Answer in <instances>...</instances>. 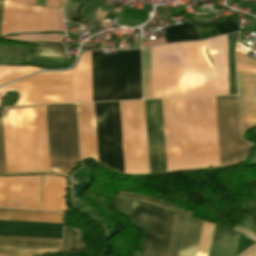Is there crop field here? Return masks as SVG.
Wrapping results in <instances>:
<instances>
[{"label":"crop field","instance_id":"8a807250","mask_svg":"<svg viewBox=\"0 0 256 256\" xmlns=\"http://www.w3.org/2000/svg\"><path fill=\"white\" fill-rule=\"evenodd\" d=\"M48 108L50 147L48 132ZM37 109V110H15ZM0 119V174L48 172L67 175L79 161L75 105L6 108Z\"/></svg>","mask_w":256,"mask_h":256},{"label":"crop field","instance_id":"ac0d7876","mask_svg":"<svg viewBox=\"0 0 256 256\" xmlns=\"http://www.w3.org/2000/svg\"><path fill=\"white\" fill-rule=\"evenodd\" d=\"M151 52L153 98L228 94L227 35Z\"/></svg>","mask_w":256,"mask_h":256},{"label":"crop field","instance_id":"34b2d1b8","mask_svg":"<svg viewBox=\"0 0 256 256\" xmlns=\"http://www.w3.org/2000/svg\"><path fill=\"white\" fill-rule=\"evenodd\" d=\"M92 52L93 101L126 100L125 51ZM127 100L141 99L140 50L126 51Z\"/></svg>","mask_w":256,"mask_h":256},{"label":"crop field","instance_id":"412701ff","mask_svg":"<svg viewBox=\"0 0 256 256\" xmlns=\"http://www.w3.org/2000/svg\"><path fill=\"white\" fill-rule=\"evenodd\" d=\"M167 172L195 169L190 98L162 100Z\"/></svg>","mask_w":256,"mask_h":256},{"label":"crop field","instance_id":"f4fd0767","mask_svg":"<svg viewBox=\"0 0 256 256\" xmlns=\"http://www.w3.org/2000/svg\"><path fill=\"white\" fill-rule=\"evenodd\" d=\"M221 166L243 160L251 145L240 137L236 96L216 97Z\"/></svg>","mask_w":256,"mask_h":256},{"label":"crop field","instance_id":"dd49c442","mask_svg":"<svg viewBox=\"0 0 256 256\" xmlns=\"http://www.w3.org/2000/svg\"><path fill=\"white\" fill-rule=\"evenodd\" d=\"M130 216L148 227L141 256H166L176 214L134 201Z\"/></svg>","mask_w":256,"mask_h":256},{"label":"crop field","instance_id":"e52e79f7","mask_svg":"<svg viewBox=\"0 0 256 256\" xmlns=\"http://www.w3.org/2000/svg\"><path fill=\"white\" fill-rule=\"evenodd\" d=\"M150 173L166 172L161 100L144 101Z\"/></svg>","mask_w":256,"mask_h":256},{"label":"crop field","instance_id":"d8731c3e","mask_svg":"<svg viewBox=\"0 0 256 256\" xmlns=\"http://www.w3.org/2000/svg\"><path fill=\"white\" fill-rule=\"evenodd\" d=\"M202 224L177 214L167 256H195Z\"/></svg>","mask_w":256,"mask_h":256},{"label":"crop field","instance_id":"5a996713","mask_svg":"<svg viewBox=\"0 0 256 256\" xmlns=\"http://www.w3.org/2000/svg\"><path fill=\"white\" fill-rule=\"evenodd\" d=\"M214 227L215 225L204 222L196 256H208ZM237 235L226 227L216 225L209 256H233Z\"/></svg>","mask_w":256,"mask_h":256},{"label":"crop field","instance_id":"3316defc","mask_svg":"<svg viewBox=\"0 0 256 256\" xmlns=\"http://www.w3.org/2000/svg\"><path fill=\"white\" fill-rule=\"evenodd\" d=\"M125 173L139 174L134 101L119 102Z\"/></svg>","mask_w":256,"mask_h":256},{"label":"crop field","instance_id":"28ad6ade","mask_svg":"<svg viewBox=\"0 0 256 256\" xmlns=\"http://www.w3.org/2000/svg\"><path fill=\"white\" fill-rule=\"evenodd\" d=\"M242 135L256 127V75L238 71Z\"/></svg>","mask_w":256,"mask_h":256},{"label":"crop field","instance_id":"d1516ede","mask_svg":"<svg viewBox=\"0 0 256 256\" xmlns=\"http://www.w3.org/2000/svg\"><path fill=\"white\" fill-rule=\"evenodd\" d=\"M62 224L0 220V235L61 239Z\"/></svg>","mask_w":256,"mask_h":256},{"label":"crop field","instance_id":"22f410ed","mask_svg":"<svg viewBox=\"0 0 256 256\" xmlns=\"http://www.w3.org/2000/svg\"><path fill=\"white\" fill-rule=\"evenodd\" d=\"M81 159L98 161L93 104H77Z\"/></svg>","mask_w":256,"mask_h":256},{"label":"crop field","instance_id":"cbeb9de0","mask_svg":"<svg viewBox=\"0 0 256 256\" xmlns=\"http://www.w3.org/2000/svg\"><path fill=\"white\" fill-rule=\"evenodd\" d=\"M73 102L92 101L91 52L81 54L72 69Z\"/></svg>","mask_w":256,"mask_h":256},{"label":"crop field","instance_id":"5142ce71","mask_svg":"<svg viewBox=\"0 0 256 256\" xmlns=\"http://www.w3.org/2000/svg\"><path fill=\"white\" fill-rule=\"evenodd\" d=\"M67 179L44 175L40 209L69 211L65 205Z\"/></svg>","mask_w":256,"mask_h":256},{"label":"crop field","instance_id":"d9b57169","mask_svg":"<svg viewBox=\"0 0 256 256\" xmlns=\"http://www.w3.org/2000/svg\"><path fill=\"white\" fill-rule=\"evenodd\" d=\"M41 176L18 178L16 208L39 209Z\"/></svg>","mask_w":256,"mask_h":256},{"label":"crop field","instance_id":"733c2abd","mask_svg":"<svg viewBox=\"0 0 256 256\" xmlns=\"http://www.w3.org/2000/svg\"><path fill=\"white\" fill-rule=\"evenodd\" d=\"M63 213L0 209V219L62 223Z\"/></svg>","mask_w":256,"mask_h":256},{"label":"crop field","instance_id":"4a817a6b","mask_svg":"<svg viewBox=\"0 0 256 256\" xmlns=\"http://www.w3.org/2000/svg\"><path fill=\"white\" fill-rule=\"evenodd\" d=\"M140 174L149 173L143 101H135Z\"/></svg>","mask_w":256,"mask_h":256},{"label":"crop field","instance_id":"bc2a9ffb","mask_svg":"<svg viewBox=\"0 0 256 256\" xmlns=\"http://www.w3.org/2000/svg\"><path fill=\"white\" fill-rule=\"evenodd\" d=\"M108 167L118 171L112 103H103Z\"/></svg>","mask_w":256,"mask_h":256},{"label":"crop field","instance_id":"214f88e0","mask_svg":"<svg viewBox=\"0 0 256 256\" xmlns=\"http://www.w3.org/2000/svg\"><path fill=\"white\" fill-rule=\"evenodd\" d=\"M0 64L38 65L43 67H64L67 61L56 58H38L17 55H0Z\"/></svg>","mask_w":256,"mask_h":256},{"label":"crop field","instance_id":"92a150f3","mask_svg":"<svg viewBox=\"0 0 256 256\" xmlns=\"http://www.w3.org/2000/svg\"><path fill=\"white\" fill-rule=\"evenodd\" d=\"M0 245L60 249L61 240L0 236Z\"/></svg>","mask_w":256,"mask_h":256},{"label":"crop field","instance_id":"dafd665d","mask_svg":"<svg viewBox=\"0 0 256 256\" xmlns=\"http://www.w3.org/2000/svg\"><path fill=\"white\" fill-rule=\"evenodd\" d=\"M17 177L0 176V207L15 208Z\"/></svg>","mask_w":256,"mask_h":256},{"label":"crop field","instance_id":"00972430","mask_svg":"<svg viewBox=\"0 0 256 256\" xmlns=\"http://www.w3.org/2000/svg\"><path fill=\"white\" fill-rule=\"evenodd\" d=\"M166 42L200 40L192 23L164 28Z\"/></svg>","mask_w":256,"mask_h":256},{"label":"crop field","instance_id":"a9b5d70f","mask_svg":"<svg viewBox=\"0 0 256 256\" xmlns=\"http://www.w3.org/2000/svg\"><path fill=\"white\" fill-rule=\"evenodd\" d=\"M99 163L107 166L102 103L94 104Z\"/></svg>","mask_w":256,"mask_h":256},{"label":"crop field","instance_id":"4177f3b9","mask_svg":"<svg viewBox=\"0 0 256 256\" xmlns=\"http://www.w3.org/2000/svg\"><path fill=\"white\" fill-rule=\"evenodd\" d=\"M42 31L41 7L27 4L24 32Z\"/></svg>","mask_w":256,"mask_h":256},{"label":"crop field","instance_id":"730fd06b","mask_svg":"<svg viewBox=\"0 0 256 256\" xmlns=\"http://www.w3.org/2000/svg\"><path fill=\"white\" fill-rule=\"evenodd\" d=\"M57 251L60 250L0 246V256H39Z\"/></svg>","mask_w":256,"mask_h":256},{"label":"crop field","instance_id":"eef30255","mask_svg":"<svg viewBox=\"0 0 256 256\" xmlns=\"http://www.w3.org/2000/svg\"><path fill=\"white\" fill-rule=\"evenodd\" d=\"M117 197L133 198V199H136V200H139V201H142V202L154 205V206H158V207H161V208H165V209H169V210H172V211L179 212V213L187 215L189 217H191V215H192V213L181 210V209H179V208H177V207H175V206H173V205H171L167 202H164V201H161V200H158V199H155V198L147 197V196L130 194V193H125V192H119Z\"/></svg>","mask_w":256,"mask_h":256},{"label":"crop field","instance_id":"ae1a2a85","mask_svg":"<svg viewBox=\"0 0 256 256\" xmlns=\"http://www.w3.org/2000/svg\"><path fill=\"white\" fill-rule=\"evenodd\" d=\"M237 34L228 35L229 94H237L233 49Z\"/></svg>","mask_w":256,"mask_h":256},{"label":"crop field","instance_id":"d3111659","mask_svg":"<svg viewBox=\"0 0 256 256\" xmlns=\"http://www.w3.org/2000/svg\"><path fill=\"white\" fill-rule=\"evenodd\" d=\"M36 67H4L0 66V85L3 83L21 77L28 73L38 71Z\"/></svg>","mask_w":256,"mask_h":256},{"label":"crop field","instance_id":"750c4746","mask_svg":"<svg viewBox=\"0 0 256 256\" xmlns=\"http://www.w3.org/2000/svg\"><path fill=\"white\" fill-rule=\"evenodd\" d=\"M144 99L152 98L150 48L143 49Z\"/></svg>","mask_w":256,"mask_h":256},{"label":"crop field","instance_id":"bd1437ed","mask_svg":"<svg viewBox=\"0 0 256 256\" xmlns=\"http://www.w3.org/2000/svg\"><path fill=\"white\" fill-rule=\"evenodd\" d=\"M113 108L117 143L118 167L119 172L124 173L118 102L113 103Z\"/></svg>","mask_w":256,"mask_h":256},{"label":"crop field","instance_id":"1d83c4d3","mask_svg":"<svg viewBox=\"0 0 256 256\" xmlns=\"http://www.w3.org/2000/svg\"><path fill=\"white\" fill-rule=\"evenodd\" d=\"M79 230L64 228L62 251L78 250Z\"/></svg>","mask_w":256,"mask_h":256},{"label":"crop field","instance_id":"120bbe31","mask_svg":"<svg viewBox=\"0 0 256 256\" xmlns=\"http://www.w3.org/2000/svg\"><path fill=\"white\" fill-rule=\"evenodd\" d=\"M62 36L64 35L28 34V35H19L16 37H4L3 39H21V40H33V41H45V42H60Z\"/></svg>","mask_w":256,"mask_h":256},{"label":"crop field","instance_id":"d32e631a","mask_svg":"<svg viewBox=\"0 0 256 256\" xmlns=\"http://www.w3.org/2000/svg\"><path fill=\"white\" fill-rule=\"evenodd\" d=\"M35 55L53 56V57L65 58V56H64V48H62V47L38 46L37 47V53Z\"/></svg>","mask_w":256,"mask_h":256},{"label":"crop field","instance_id":"5866460e","mask_svg":"<svg viewBox=\"0 0 256 256\" xmlns=\"http://www.w3.org/2000/svg\"><path fill=\"white\" fill-rule=\"evenodd\" d=\"M53 31H65L61 10L49 8Z\"/></svg>","mask_w":256,"mask_h":256},{"label":"crop field","instance_id":"028f5c9d","mask_svg":"<svg viewBox=\"0 0 256 256\" xmlns=\"http://www.w3.org/2000/svg\"><path fill=\"white\" fill-rule=\"evenodd\" d=\"M236 58L237 62L241 64H247V65H253L256 66V61L236 52ZM238 64V70L246 71V72H251L256 74V68L255 67H250V66H245Z\"/></svg>","mask_w":256,"mask_h":256},{"label":"crop field","instance_id":"e1f06a70","mask_svg":"<svg viewBox=\"0 0 256 256\" xmlns=\"http://www.w3.org/2000/svg\"><path fill=\"white\" fill-rule=\"evenodd\" d=\"M193 25H194L200 39L218 35L209 23L202 24V25H196L193 23Z\"/></svg>","mask_w":256,"mask_h":256},{"label":"crop field","instance_id":"0bd39190","mask_svg":"<svg viewBox=\"0 0 256 256\" xmlns=\"http://www.w3.org/2000/svg\"><path fill=\"white\" fill-rule=\"evenodd\" d=\"M212 25L217 29L219 34L229 33V32H234L239 30L237 26L231 24L229 21L222 22V23H214Z\"/></svg>","mask_w":256,"mask_h":256},{"label":"crop field","instance_id":"b80d0937","mask_svg":"<svg viewBox=\"0 0 256 256\" xmlns=\"http://www.w3.org/2000/svg\"><path fill=\"white\" fill-rule=\"evenodd\" d=\"M234 230L242 233L244 236L256 242V235L251 231L250 227L246 224L245 220L236 225Z\"/></svg>","mask_w":256,"mask_h":256},{"label":"crop field","instance_id":"c035e120","mask_svg":"<svg viewBox=\"0 0 256 256\" xmlns=\"http://www.w3.org/2000/svg\"><path fill=\"white\" fill-rule=\"evenodd\" d=\"M43 31H52L48 8L42 7Z\"/></svg>","mask_w":256,"mask_h":256},{"label":"crop field","instance_id":"c21b1889","mask_svg":"<svg viewBox=\"0 0 256 256\" xmlns=\"http://www.w3.org/2000/svg\"><path fill=\"white\" fill-rule=\"evenodd\" d=\"M78 4L76 3H70V2H67L65 8H64V17L67 21H71V18H70V14H69V10H73L75 11L76 8H77ZM72 22V21H71Z\"/></svg>","mask_w":256,"mask_h":256},{"label":"crop field","instance_id":"03da06ac","mask_svg":"<svg viewBox=\"0 0 256 256\" xmlns=\"http://www.w3.org/2000/svg\"><path fill=\"white\" fill-rule=\"evenodd\" d=\"M247 242H248V240H246L243 237L239 236V240H238L235 256L237 254H239L241 251H243L244 249H246Z\"/></svg>","mask_w":256,"mask_h":256},{"label":"crop field","instance_id":"b54c1fbb","mask_svg":"<svg viewBox=\"0 0 256 256\" xmlns=\"http://www.w3.org/2000/svg\"><path fill=\"white\" fill-rule=\"evenodd\" d=\"M164 43H166V42L162 36V37H158V38L152 39L147 42H143L142 45H143V47H146V46H152V45H158V44H164Z\"/></svg>","mask_w":256,"mask_h":256},{"label":"crop field","instance_id":"5d738f31","mask_svg":"<svg viewBox=\"0 0 256 256\" xmlns=\"http://www.w3.org/2000/svg\"><path fill=\"white\" fill-rule=\"evenodd\" d=\"M239 256H256V244L247 249L245 252H243Z\"/></svg>","mask_w":256,"mask_h":256},{"label":"crop field","instance_id":"d23c7cc5","mask_svg":"<svg viewBox=\"0 0 256 256\" xmlns=\"http://www.w3.org/2000/svg\"><path fill=\"white\" fill-rule=\"evenodd\" d=\"M3 5H4V0H0V31H1V22H2V14H3Z\"/></svg>","mask_w":256,"mask_h":256},{"label":"crop field","instance_id":"425ffa30","mask_svg":"<svg viewBox=\"0 0 256 256\" xmlns=\"http://www.w3.org/2000/svg\"><path fill=\"white\" fill-rule=\"evenodd\" d=\"M51 0L47 1V6H50ZM59 0H52L51 6L58 8Z\"/></svg>","mask_w":256,"mask_h":256},{"label":"crop field","instance_id":"25e5ab78","mask_svg":"<svg viewBox=\"0 0 256 256\" xmlns=\"http://www.w3.org/2000/svg\"><path fill=\"white\" fill-rule=\"evenodd\" d=\"M107 12H100V8L97 11V21L102 20Z\"/></svg>","mask_w":256,"mask_h":256},{"label":"crop field","instance_id":"73cf0c24","mask_svg":"<svg viewBox=\"0 0 256 256\" xmlns=\"http://www.w3.org/2000/svg\"><path fill=\"white\" fill-rule=\"evenodd\" d=\"M34 43L42 44V45L62 46L61 43H41V42H34Z\"/></svg>","mask_w":256,"mask_h":256},{"label":"crop field","instance_id":"89e229c0","mask_svg":"<svg viewBox=\"0 0 256 256\" xmlns=\"http://www.w3.org/2000/svg\"><path fill=\"white\" fill-rule=\"evenodd\" d=\"M81 4H79V6H78V8H77V10H76V19H77V22L79 21V10H80V8H81Z\"/></svg>","mask_w":256,"mask_h":256},{"label":"crop field","instance_id":"1f2cbd36","mask_svg":"<svg viewBox=\"0 0 256 256\" xmlns=\"http://www.w3.org/2000/svg\"><path fill=\"white\" fill-rule=\"evenodd\" d=\"M46 0H36V4L45 6Z\"/></svg>","mask_w":256,"mask_h":256},{"label":"crop field","instance_id":"dbb93151","mask_svg":"<svg viewBox=\"0 0 256 256\" xmlns=\"http://www.w3.org/2000/svg\"><path fill=\"white\" fill-rule=\"evenodd\" d=\"M70 13H71L72 21L76 22V20H75V12L70 11Z\"/></svg>","mask_w":256,"mask_h":256}]
</instances>
